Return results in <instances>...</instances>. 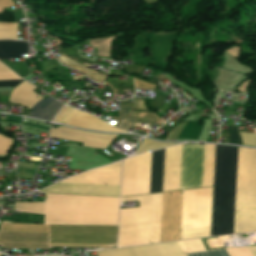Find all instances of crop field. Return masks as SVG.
Segmentation results:
<instances>
[{"instance_id": "28", "label": "crop field", "mask_w": 256, "mask_h": 256, "mask_svg": "<svg viewBox=\"0 0 256 256\" xmlns=\"http://www.w3.org/2000/svg\"><path fill=\"white\" fill-rule=\"evenodd\" d=\"M88 117H89L88 114L74 110V112L68 122V125L84 128Z\"/></svg>"}, {"instance_id": "10", "label": "crop field", "mask_w": 256, "mask_h": 256, "mask_svg": "<svg viewBox=\"0 0 256 256\" xmlns=\"http://www.w3.org/2000/svg\"><path fill=\"white\" fill-rule=\"evenodd\" d=\"M235 210H256V149H250L249 187H236Z\"/></svg>"}, {"instance_id": "19", "label": "crop field", "mask_w": 256, "mask_h": 256, "mask_svg": "<svg viewBox=\"0 0 256 256\" xmlns=\"http://www.w3.org/2000/svg\"><path fill=\"white\" fill-rule=\"evenodd\" d=\"M22 54H29L27 42L0 41V58H22Z\"/></svg>"}, {"instance_id": "22", "label": "crop field", "mask_w": 256, "mask_h": 256, "mask_svg": "<svg viewBox=\"0 0 256 256\" xmlns=\"http://www.w3.org/2000/svg\"><path fill=\"white\" fill-rule=\"evenodd\" d=\"M215 145L206 144L203 187L212 186Z\"/></svg>"}, {"instance_id": "8", "label": "crop field", "mask_w": 256, "mask_h": 256, "mask_svg": "<svg viewBox=\"0 0 256 256\" xmlns=\"http://www.w3.org/2000/svg\"><path fill=\"white\" fill-rule=\"evenodd\" d=\"M121 162L90 170L61 182L119 186Z\"/></svg>"}, {"instance_id": "20", "label": "crop field", "mask_w": 256, "mask_h": 256, "mask_svg": "<svg viewBox=\"0 0 256 256\" xmlns=\"http://www.w3.org/2000/svg\"><path fill=\"white\" fill-rule=\"evenodd\" d=\"M181 163L164 165L162 192L179 190Z\"/></svg>"}, {"instance_id": "18", "label": "crop field", "mask_w": 256, "mask_h": 256, "mask_svg": "<svg viewBox=\"0 0 256 256\" xmlns=\"http://www.w3.org/2000/svg\"><path fill=\"white\" fill-rule=\"evenodd\" d=\"M256 231V211H235L234 234Z\"/></svg>"}, {"instance_id": "34", "label": "crop field", "mask_w": 256, "mask_h": 256, "mask_svg": "<svg viewBox=\"0 0 256 256\" xmlns=\"http://www.w3.org/2000/svg\"><path fill=\"white\" fill-rule=\"evenodd\" d=\"M11 143V139H8L3 135H0V155L7 153V149L10 147Z\"/></svg>"}, {"instance_id": "24", "label": "crop field", "mask_w": 256, "mask_h": 256, "mask_svg": "<svg viewBox=\"0 0 256 256\" xmlns=\"http://www.w3.org/2000/svg\"><path fill=\"white\" fill-rule=\"evenodd\" d=\"M210 236V227L199 229L181 230L180 240L194 239Z\"/></svg>"}, {"instance_id": "11", "label": "crop field", "mask_w": 256, "mask_h": 256, "mask_svg": "<svg viewBox=\"0 0 256 256\" xmlns=\"http://www.w3.org/2000/svg\"><path fill=\"white\" fill-rule=\"evenodd\" d=\"M38 192L119 196V187L57 183Z\"/></svg>"}, {"instance_id": "15", "label": "crop field", "mask_w": 256, "mask_h": 256, "mask_svg": "<svg viewBox=\"0 0 256 256\" xmlns=\"http://www.w3.org/2000/svg\"><path fill=\"white\" fill-rule=\"evenodd\" d=\"M35 88L37 87L24 81L17 88L12 90L10 101L31 109L42 99L32 91Z\"/></svg>"}, {"instance_id": "41", "label": "crop field", "mask_w": 256, "mask_h": 256, "mask_svg": "<svg viewBox=\"0 0 256 256\" xmlns=\"http://www.w3.org/2000/svg\"><path fill=\"white\" fill-rule=\"evenodd\" d=\"M249 249L252 252L253 256H256V245L255 246H249Z\"/></svg>"}, {"instance_id": "25", "label": "crop field", "mask_w": 256, "mask_h": 256, "mask_svg": "<svg viewBox=\"0 0 256 256\" xmlns=\"http://www.w3.org/2000/svg\"><path fill=\"white\" fill-rule=\"evenodd\" d=\"M0 39H17V23H0Z\"/></svg>"}, {"instance_id": "13", "label": "crop field", "mask_w": 256, "mask_h": 256, "mask_svg": "<svg viewBox=\"0 0 256 256\" xmlns=\"http://www.w3.org/2000/svg\"><path fill=\"white\" fill-rule=\"evenodd\" d=\"M151 206L120 210L119 230L150 226Z\"/></svg>"}, {"instance_id": "42", "label": "crop field", "mask_w": 256, "mask_h": 256, "mask_svg": "<svg viewBox=\"0 0 256 256\" xmlns=\"http://www.w3.org/2000/svg\"><path fill=\"white\" fill-rule=\"evenodd\" d=\"M139 109H143L142 101H139Z\"/></svg>"}, {"instance_id": "31", "label": "crop field", "mask_w": 256, "mask_h": 256, "mask_svg": "<svg viewBox=\"0 0 256 256\" xmlns=\"http://www.w3.org/2000/svg\"><path fill=\"white\" fill-rule=\"evenodd\" d=\"M73 111V108L65 106L60 113L57 115V117L55 118V122H60V123H67L71 113Z\"/></svg>"}, {"instance_id": "40", "label": "crop field", "mask_w": 256, "mask_h": 256, "mask_svg": "<svg viewBox=\"0 0 256 256\" xmlns=\"http://www.w3.org/2000/svg\"><path fill=\"white\" fill-rule=\"evenodd\" d=\"M6 71H11V70H9L6 66L0 63V72H6Z\"/></svg>"}, {"instance_id": "14", "label": "crop field", "mask_w": 256, "mask_h": 256, "mask_svg": "<svg viewBox=\"0 0 256 256\" xmlns=\"http://www.w3.org/2000/svg\"><path fill=\"white\" fill-rule=\"evenodd\" d=\"M63 104L48 95L37 103L25 116L51 121Z\"/></svg>"}, {"instance_id": "4", "label": "crop field", "mask_w": 256, "mask_h": 256, "mask_svg": "<svg viewBox=\"0 0 256 256\" xmlns=\"http://www.w3.org/2000/svg\"><path fill=\"white\" fill-rule=\"evenodd\" d=\"M212 188L183 191L181 229L210 226Z\"/></svg>"}, {"instance_id": "37", "label": "crop field", "mask_w": 256, "mask_h": 256, "mask_svg": "<svg viewBox=\"0 0 256 256\" xmlns=\"http://www.w3.org/2000/svg\"><path fill=\"white\" fill-rule=\"evenodd\" d=\"M21 82H23V80H4V81H0V87L17 86Z\"/></svg>"}, {"instance_id": "29", "label": "crop field", "mask_w": 256, "mask_h": 256, "mask_svg": "<svg viewBox=\"0 0 256 256\" xmlns=\"http://www.w3.org/2000/svg\"><path fill=\"white\" fill-rule=\"evenodd\" d=\"M179 244L182 247L184 253L205 250L200 239L181 241Z\"/></svg>"}, {"instance_id": "26", "label": "crop field", "mask_w": 256, "mask_h": 256, "mask_svg": "<svg viewBox=\"0 0 256 256\" xmlns=\"http://www.w3.org/2000/svg\"><path fill=\"white\" fill-rule=\"evenodd\" d=\"M181 150L182 146L166 148L164 164L181 162Z\"/></svg>"}, {"instance_id": "39", "label": "crop field", "mask_w": 256, "mask_h": 256, "mask_svg": "<svg viewBox=\"0 0 256 256\" xmlns=\"http://www.w3.org/2000/svg\"><path fill=\"white\" fill-rule=\"evenodd\" d=\"M0 4L2 5L3 9L14 6L11 0H0ZM0 5V12H4Z\"/></svg>"}, {"instance_id": "3", "label": "crop field", "mask_w": 256, "mask_h": 256, "mask_svg": "<svg viewBox=\"0 0 256 256\" xmlns=\"http://www.w3.org/2000/svg\"><path fill=\"white\" fill-rule=\"evenodd\" d=\"M237 149L216 145L212 236L233 234Z\"/></svg>"}, {"instance_id": "6", "label": "crop field", "mask_w": 256, "mask_h": 256, "mask_svg": "<svg viewBox=\"0 0 256 256\" xmlns=\"http://www.w3.org/2000/svg\"><path fill=\"white\" fill-rule=\"evenodd\" d=\"M204 149L201 145L183 146L180 190L202 187Z\"/></svg>"}, {"instance_id": "2", "label": "crop field", "mask_w": 256, "mask_h": 256, "mask_svg": "<svg viewBox=\"0 0 256 256\" xmlns=\"http://www.w3.org/2000/svg\"><path fill=\"white\" fill-rule=\"evenodd\" d=\"M117 226L51 225V245L116 246ZM0 244L5 247L48 248V225H2Z\"/></svg>"}, {"instance_id": "17", "label": "crop field", "mask_w": 256, "mask_h": 256, "mask_svg": "<svg viewBox=\"0 0 256 256\" xmlns=\"http://www.w3.org/2000/svg\"><path fill=\"white\" fill-rule=\"evenodd\" d=\"M164 149L153 152L150 193L161 192L163 179Z\"/></svg>"}, {"instance_id": "16", "label": "crop field", "mask_w": 256, "mask_h": 256, "mask_svg": "<svg viewBox=\"0 0 256 256\" xmlns=\"http://www.w3.org/2000/svg\"><path fill=\"white\" fill-rule=\"evenodd\" d=\"M150 227L119 231L118 247L149 243Z\"/></svg>"}, {"instance_id": "21", "label": "crop field", "mask_w": 256, "mask_h": 256, "mask_svg": "<svg viewBox=\"0 0 256 256\" xmlns=\"http://www.w3.org/2000/svg\"><path fill=\"white\" fill-rule=\"evenodd\" d=\"M249 149L239 147L236 186L248 185Z\"/></svg>"}, {"instance_id": "12", "label": "crop field", "mask_w": 256, "mask_h": 256, "mask_svg": "<svg viewBox=\"0 0 256 256\" xmlns=\"http://www.w3.org/2000/svg\"><path fill=\"white\" fill-rule=\"evenodd\" d=\"M162 193L121 198V202L138 200L139 206L152 205L151 243L159 242Z\"/></svg>"}, {"instance_id": "35", "label": "crop field", "mask_w": 256, "mask_h": 256, "mask_svg": "<svg viewBox=\"0 0 256 256\" xmlns=\"http://www.w3.org/2000/svg\"><path fill=\"white\" fill-rule=\"evenodd\" d=\"M229 130V143L241 145L239 135L235 127H227Z\"/></svg>"}, {"instance_id": "27", "label": "crop field", "mask_w": 256, "mask_h": 256, "mask_svg": "<svg viewBox=\"0 0 256 256\" xmlns=\"http://www.w3.org/2000/svg\"><path fill=\"white\" fill-rule=\"evenodd\" d=\"M174 144H178V143H159V142H154V141H150L148 139H145L144 142L137 149L135 154L143 153V152H147V151H151V150H155V149H159V148H163V147H167V146L174 145Z\"/></svg>"}, {"instance_id": "30", "label": "crop field", "mask_w": 256, "mask_h": 256, "mask_svg": "<svg viewBox=\"0 0 256 256\" xmlns=\"http://www.w3.org/2000/svg\"><path fill=\"white\" fill-rule=\"evenodd\" d=\"M186 256H227L224 249L187 253Z\"/></svg>"}, {"instance_id": "32", "label": "crop field", "mask_w": 256, "mask_h": 256, "mask_svg": "<svg viewBox=\"0 0 256 256\" xmlns=\"http://www.w3.org/2000/svg\"><path fill=\"white\" fill-rule=\"evenodd\" d=\"M226 251L229 256H252L248 247L227 248Z\"/></svg>"}, {"instance_id": "36", "label": "crop field", "mask_w": 256, "mask_h": 256, "mask_svg": "<svg viewBox=\"0 0 256 256\" xmlns=\"http://www.w3.org/2000/svg\"><path fill=\"white\" fill-rule=\"evenodd\" d=\"M134 81H135V87L139 88V89H150V90L153 91V89L155 87V85L146 83L144 81H141V80H138V79H135V78H134Z\"/></svg>"}, {"instance_id": "23", "label": "crop field", "mask_w": 256, "mask_h": 256, "mask_svg": "<svg viewBox=\"0 0 256 256\" xmlns=\"http://www.w3.org/2000/svg\"><path fill=\"white\" fill-rule=\"evenodd\" d=\"M63 63H65L66 65L80 71V72H83L89 76H91L92 78H94L95 80L99 81V82H103L104 78H105V75H102V74H99V73H96V72H93V71H90V70H87L85 69V67L63 57V56H60L58 57Z\"/></svg>"}, {"instance_id": "1", "label": "crop field", "mask_w": 256, "mask_h": 256, "mask_svg": "<svg viewBox=\"0 0 256 256\" xmlns=\"http://www.w3.org/2000/svg\"><path fill=\"white\" fill-rule=\"evenodd\" d=\"M45 202H15L19 212L43 214ZM119 198L46 194L44 224L117 225Z\"/></svg>"}, {"instance_id": "38", "label": "crop field", "mask_w": 256, "mask_h": 256, "mask_svg": "<svg viewBox=\"0 0 256 256\" xmlns=\"http://www.w3.org/2000/svg\"><path fill=\"white\" fill-rule=\"evenodd\" d=\"M4 79H21V78H19L13 72L0 73V80H4Z\"/></svg>"}, {"instance_id": "5", "label": "crop field", "mask_w": 256, "mask_h": 256, "mask_svg": "<svg viewBox=\"0 0 256 256\" xmlns=\"http://www.w3.org/2000/svg\"><path fill=\"white\" fill-rule=\"evenodd\" d=\"M151 152L123 161L121 196L149 193Z\"/></svg>"}, {"instance_id": "7", "label": "crop field", "mask_w": 256, "mask_h": 256, "mask_svg": "<svg viewBox=\"0 0 256 256\" xmlns=\"http://www.w3.org/2000/svg\"><path fill=\"white\" fill-rule=\"evenodd\" d=\"M97 256H185L178 242L96 251Z\"/></svg>"}, {"instance_id": "33", "label": "crop field", "mask_w": 256, "mask_h": 256, "mask_svg": "<svg viewBox=\"0 0 256 256\" xmlns=\"http://www.w3.org/2000/svg\"><path fill=\"white\" fill-rule=\"evenodd\" d=\"M243 139V145L256 146L255 133H240Z\"/></svg>"}, {"instance_id": "9", "label": "crop field", "mask_w": 256, "mask_h": 256, "mask_svg": "<svg viewBox=\"0 0 256 256\" xmlns=\"http://www.w3.org/2000/svg\"><path fill=\"white\" fill-rule=\"evenodd\" d=\"M49 136L80 141L86 147L106 148L116 135L85 132L61 126L59 130L51 128Z\"/></svg>"}]
</instances>
